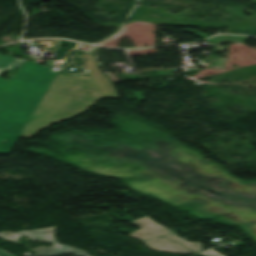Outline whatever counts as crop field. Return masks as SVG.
Masks as SVG:
<instances>
[{
    "instance_id": "crop-field-3",
    "label": "crop field",
    "mask_w": 256,
    "mask_h": 256,
    "mask_svg": "<svg viewBox=\"0 0 256 256\" xmlns=\"http://www.w3.org/2000/svg\"><path fill=\"white\" fill-rule=\"evenodd\" d=\"M131 222L140 226L141 229L132 232L129 236L142 240L150 249L180 254L193 253L182 246L159 236L173 231L153 222L147 216Z\"/></svg>"
},
{
    "instance_id": "crop-field-7",
    "label": "crop field",
    "mask_w": 256,
    "mask_h": 256,
    "mask_svg": "<svg viewBox=\"0 0 256 256\" xmlns=\"http://www.w3.org/2000/svg\"><path fill=\"white\" fill-rule=\"evenodd\" d=\"M201 254H203L205 256H224V255H222V254H220V253H218V252H216V251H214L212 249H209V250H207V251H205V252H203Z\"/></svg>"
},
{
    "instance_id": "crop-field-8",
    "label": "crop field",
    "mask_w": 256,
    "mask_h": 256,
    "mask_svg": "<svg viewBox=\"0 0 256 256\" xmlns=\"http://www.w3.org/2000/svg\"><path fill=\"white\" fill-rule=\"evenodd\" d=\"M0 256H12V255H10L0 249Z\"/></svg>"
},
{
    "instance_id": "crop-field-4",
    "label": "crop field",
    "mask_w": 256,
    "mask_h": 256,
    "mask_svg": "<svg viewBox=\"0 0 256 256\" xmlns=\"http://www.w3.org/2000/svg\"><path fill=\"white\" fill-rule=\"evenodd\" d=\"M54 231L55 227L46 228V229H40V230H34V231H23L18 233H11V234H4L0 232V237L11 240V241H18V238L20 235L28 236L31 238V240H41V241H48L53 242L54 245L51 247H45L40 246L35 249L37 253L43 255V256H54L62 253H75L83 256H87V252L78 250L76 248H73L71 246L62 245L57 243L54 238Z\"/></svg>"
},
{
    "instance_id": "crop-field-1",
    "label": "crop field",
    "mask_w": 256,
    "mask_h": 256,
    "mask_svg": "<svg viewBox=\"0 0 256 256\" xmlns=\"http://www.w3.org/2000/svg\"><path fill=\"white\" fill-rule=\"evenodd\" d=\"M85 57L84 68L88 76L57 73L20 137L31 138L40 129L86 110L103 97L118 98L111 81L100 72L93 55Z\"/></svg>"
},
{
    "instance_id": "crop-field-6",
    "label": "crop field",
    "mask_w": 256,
    "mask_h": 256,
    "mask_svg": "<svg viewBox=\"0 0 256 256\" xmlns=\"http://www.w3.org/2000/svg\"><path fill=\"white\" fill-rule=\"evenodd\" d=\"M14 57L7 55H0V73L3 72L12 62Z\"/></svg>"
},
{
    "instance_id": "crop-field-2",
    "label": "crop field",
    "mask_w": 256,
    "mask_h": 256,
    "mask_svg": "<svg viewBox=\"0 0 256 256\" xmlns=\"http://www.w3.org/2000/svg\"><path fill=\"white\" fill-rule=\"evenodd\" d=\"M56 73L26 60L14 77L0 78V153L12 148Z\"/></svg>"
},
{
    "instance_id": "crop-field-5",
    "label": "crop field",
    "mask_w": 256,
    "mask_h": 256,
    "mask_svg": "<svg viewBox=\"0 0 256 256\" xmlns=\"http://www.w3.org/2000/svg\"><path fill=\"white\" fill-rule=\"evenodd\" d=\"M163 237L165 238H168L174 242H177L179 243L180 245L198 253V252H201L203 251L202 249V245L200 242H197V243H191V242H188L186 241L184 238H179L175 232L174 233H171V234H167V235H162Z\"/></svg>"
}]
</instances>
